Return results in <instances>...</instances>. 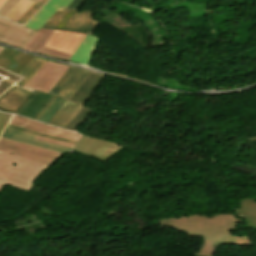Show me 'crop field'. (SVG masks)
I'll return each mask as SVG.
<instances>
[{
	"label": "crop field",
	"instance_id": "1",
	"mask_svg": "<svg viewBox=\"0 0 256 256\" xmlns=\"http://www.w3.org/2000/svg\"><path fill=\"white\" fill-rule=\"evenodd\" d=\"M237 226V217L232 213L211 216L195 215L164 219L161 227L173 229L189 236L204 238L198 255L214 256L217 244L248 246L251 237H231L232 229Z\"/></svg>",
	"mask_w": 256,
	"mask_h": 256
},
{
	"label": "crop field",
	"instance_id": "2",
	"mask_svg": "<svg viewBox=\"0 0 256 256\" xmlns=\"http://www.w3.org/2000/svg\"><path fill=\"white\" fill-rule=\"evenodd\" d=\"M48 166L0 151V191L7 184L30 190L35 177Z\"/></svg>",
	"mask_w": 256,
	"mask_h": 256
},
{
	"label": "crop field",
	"instance_id": "3",
	"mask_svg": "<svg viewBox=\"0 0 256 256\" xmlns=\"http://www.w3.org/2000/svg\"><path fill=\"white\" fill-rule=\"evenodd\" d=\"M0 150L48 165L54 163L61 154L52 150L7 140L1 137Z\"/></svg>",
	"mask_w": 256,
	"mask_h": 256
},
{
	"label": "crop field",
	"instance_id": "4",
	"mask_svg": "<svg viewBox=\"0 0 256 256\" xmlns=\"http://www.w3.org/2000/svg\"><path fill=\"white\" fill-rule=\"evenodd\" d=\"M67 68L66 65L47 61L26 83L24 88L48 93Z\"/></svg>",
	"mask_w": 256,
	"mask_h": 256
},
{
	"label": "crop field",
	"instance_id": "5",
	"mask_svg": "<svg viewBox=\"0 0 256 256\" xmlns=\"http://www.w3.org/2000/svg\"><path fill=\"white\" fill-rule=\"evenodd\" d=\"M122 147L124 146L82 136L73 149L92 156L105 163Z\"/></svg>",
	"mask_w": 256,
	"mask_h": 256
},
{
	"label": "crop field",
	"instance_id": "6",
	"mask_svg": "<svg viewBox=\"0 0 256 256\" xmlns=\"http://www.w3.org/2000/svg\"><path fill=\"white\" fill-rule=\"evenodd\" d=\"M88 74L89 71L69 66L49 93L69 99Z\"/></svg>",
	"mask_w": 256,
	"mask_h": 256
},
{
	"label": "crop field",
	"instance_id": "7",
	"mask_svg": "<svg viewBox=\"0 0 256 256\" xmlns=\"http://www.w3.org/2000/svg\"><path fill=\"white\" fill-rule=\"evenodd\" d=\"M84 34L55 31L44 47L73 55Z\"/></svg>",
	"mask_w": 256,
	"mask_h": 256
},
{
	"label": "crop field",
	"instance_id": "8",
	"mask_svg": "<svg viewBox=\"0 0 256 256\" xmlns=\"http://www.w3.org/2000/svg\"><path fill=\"white\" fill-rule=\"evenodd\" d=\"M10 123L30 129V130L46 133L53 136L63 137V138H67L75 141H77V139L80 137L79 134L62 130V129L49 126L43 123L35 122L33 120H30L24 117H18L16 115L12 117Z\"/></svg>",
	"mask_w": 256,
	"mask_h": 256
},
{
	"label": "crop field",
	"instance_id": "9",
	"mask_svg": "<svg viewBox=\"0 0 256 256\" xmlns=\"http://www.w3.org/2000/svg\"><path fill=\"white\" fill-rule=\"evenodd\" d=\"M33 94L34 92L13 86L8 92L0 97V110L16 114Z\"/></svg>",
	"mask_w": 256,
	"mask_h": 256
},
{
	"label": "crop field",
	"instance_id": "10",
	"mask_svg": "<svg viewBox=\"0 0 256 256\" xmlns=\"http://www.w3.org/2000/svg\"><path fill=\"white\" fill-rule=\"evenodd\" d=\"M94 14L95 12L91 11L75 12L63 30L92 34L99 24L98 21L92 19Z\"/></svg>",
	"mask_w": 256,
	"mask_h": 256
},
{
	"label": "crop field",
	"instance_id": "11",
	"mask_svg": "<svg viewBox=\"0 0 256 256\" xmlns=\"http://www.w3.org/2000/svg\"><path fill=\"white\" fill-rule=\"evenodd\" d=\"M53 33V30H39L27 43L24 49L68 61L71 55L43 48Z\"/></svg>",
	"mask_w": 256,
	"mask_h": 256
},
{
	"label": "crop field",
	"instance_id": "12",
	"mask_svg": "<svg viewBox=\"0 0 256 256\" xmlns=\"http://www.w3.org/2000/svg\"><path fill=\"white\" fill-rule=\"evenodd\" d=\"M36 32L27 34L13 27L0 24V42L22 49Z\"/></svg>",
	"mask_w": 256,
	"mask_h": 256
},
{
	"label": "crop field",
	"instance_id": "13",
	"mask_svg": "<svg viewBox=\"0 0 256 256\" xmlns=\"http://www.w3.org/2000/svg\"><path fill=\"white\" fill-rule=\"evenodd\" d=\"M31 58L32 56L4 48L0 52V67L17 74Z\"/></svg>",
	"mask_w": 256,
	"mask_h": 256
},
{
	"label": "crop field",
	"instance_id": "14",
	"mask_svg": "<svg viewBox=\"0 0 256 256\" xmlns=\"http://www.w3.org/2000/svg\"><path fill=\"white\" fill-rule=\"evenodd\" d=\"M71 1L72 0H49L25 26L32 29L40 28L59 6L65 9Z\"/></svg>",
	"mask_w": 256,
	"mask_h": 256
},
{
	"label": "crop field",
	"instance_id": "15",
	"mask_svg": "<svg viewBox=\"0 0 256 256\" xmlns=\"http://www.w3.org/2000/svg\"><path fill=\"white\" fill-rule=\"evenodd\" d=\"M244 140L256 141V136ZM237 200L239 201L240 207L234 209V212L245 218L248 226L256 229V199L243 196Z\"/></svg>",
	"mask_w": 256,
	"mask_h": 256
},
{
	"label": "crop field",
	"instance_id": "16",
	"mask_svg": "<svg viewBox=\"0 0 256 256\" xmlns=\"http://www.w3.org/2000/svg\"><path fill=\"white\" fill-rule=\"evenodd\" d=\"M103 76L104 75L90 72L86 79L77 88L70 100L80 104H84L91 96L92 92L94 91Z\"/></svg>",
	"mask_w": 256,
	"mask_h": 256
},
{
	"label": "crop field",
	"instance_id": "17",
	"mask_svg": "<svg viewBox=\"0 0 256 256\" xmlns=\"http://www.w3.org/2000/svg\"><path fill=\"white\" fill-rule=\"evenodd\" d=\"M1 137L11 139V140H15V141H19V142H23V143L36 145V146H40V147H44V148H48V149H52V150H56V151H60V152H69L70 151L69 148H65V147H61V146H57V145H53V144H48V143L36 141V140H34L35 136H33V135H29V134L18 132V131L9 130L7 128L5 129V131L1 135Z\"/></svg>",
	"mask_w": 256,
	"mask_h": 256
},
{
	"label": "crop field",
	"instance_id": "18",
	"mask_svg": "<svg viewBox=\"0 0 256 256\" xmlns=\"http://www.w3.org/2000/svg\"><path fill=\"white\" fill-rule=\"evenodd\" d=\"M51 97V95L43 94L37 91L35 95L30 98L25 103V105L18 111L17 114L34 119Z\"/></svg>",
	"mask_w": 256,
	"mask_h": 256
},
{
	"label": "crop field",
	"instance_id": "19",
	"mask_svg": "<svg viewBox=\"0 0 256 256\" xmlns=\"http://www.w3.org/2000/svg\"><path fill=\"white\" fill-rule=\"evenodd\" d=\"M98 41V39L86 35L70 60L88 65Z\"/></svg>",
	"mask_w": 256,
	"mask_h": 256
},
{
	"label": "crop field",
	"instance_id": "20",
	"mask_svg": "<svg viewBox=\"0 0 256 256\" xmlns=\"http://www.w3.org/2000/svg\"><path fill=\"white\" fill-rule=\"evenodd\" d=\"M80 106L81 105L67 101L66 104L56 113L49 124L63 128Z\"/></svg>",
	"mask_w": 256,
	"mask_h": 256
},
{
	"label": "crop field",
	"instance_id": "21",
	"mask_svg": "<svg viewBox=\"0 0 256 256\" xmlns=\"http://www.w3.org/2000/svg\"><path fill=\"white\" fill-rule=\"evenodd\" d=\"M46 60L33 57L18 73V75L24 77L23 80L16 85L23 87L24 84L36 73V71L45 64Z\"/></svg>",
	"mask_w": 256,
	"mask_h": 256
},
{
	"label": "crop field",
	"instance_id": "22",
	"mask_svg": "<svg viewBox=\"0 0 256 256\" xmlns=\"http://www.w3.org/2000/svg\"><path fill=\"white\" fill-rule=\"evenodd\" d=\"M84 0H73L69 6L64 10L62 8H58L57 11L50 17V19L41 27V28H52L54 29L55 26L59 23L65 13L71 9L77 11Z\"/></svg>",
	"mask_w": 256,
	"mask_h": 256
},
{
	"label": "crop field",
	"instance_id": "23",
	"mask_svg": "<svg viewBox=\"0 0 256 256\" xmlns=\"http://www.w3.org/2000/svg\"><path fill=\"white\" fill-rule=\"evenodd\" d=\"M92 110L93 108L81 106L78 112L72 117L64 128L71 131H77Z\"/></svg>",
	"mask_w": 256,
	"mask_h": 256
},
{
	"label": "crop field",
	"instance_id": "24",
	"mask_svg": "<svg viewBox=\"0 0 256 256\" xmlns=\"http://www.w3.org/2000/svg\"><path fill=\"white\" fill-rule=\"evenodd\" d=\"M32 0H19L4 16L3 18L16 21L32 4Z\"/></svg>",
	"mask_w": 256,
	"mask_h": 256
},
{
	"label": "crop field",
	"instance_id": "25",
	"mask_svg": "<svg viewBox=\"0 0 256 256\" xmlns=\"http://www.w3.org/2000/svg\"><path fill=\"white\" fill-rule=\"evenodd\" d=\"M65 102L66 100L57 98L49 109L40 117L39 121L48 123Z\"/></svg>",
	"mask_w": 256,
	"mask_h": 256
},
{
	"label": "crop field",
	"instance_id": "26",
	"mask_svg": "<svg viewBox=\"0 0 256 256\" xmlns=\"http://www.w3.org/2000/svg\"><path fill=\"white\" fill-rule=\"evenodd\" d=\"M7 128L23 131V132L30 133V134H33V135H38V136H42V137H46V138H50V139H54V140H58V141H62V142L73 144V145L75 144L74 141H70V140H66V139H62V138H58V137H53V136L45 135V134H42V133L30 131V130H27V129H24V128H21V127H18V126L10 125V124L7 126Z\"/></svg>",
	"mask_w": 256,
	"mask_h": 256
},
{
	"label": "crop field",
	"instance_id": "27",
	"mask_svg": "<svg viewBox=\"0 0 256 256\" xmlns=\"http://www.w3.org/2000/svg\"><path fill=\"white\" fill-rule=\"evenodd\" d=\"M47 0H44L41 4L35 3L33 6H31L17 21L16 23L24 24L28 21V19L46 2Z\"/></svg>",
	"mask_w": 256,
	"mask_h": 256
},
{
	"label": "crop field",
	"instance_id": "28",
	"mask_svg": "<svg viewBox=\"0 0 256 256\" xmlns=\"http://www.w3.org/2000/svg\"><path fill=\"white\" fill-rule=\"evenodd\" d=\"M11 116L12 115L5 114V113H0V133L4 129L7 122L10 120Z\"/></svg>",
	"mask_w": 256,
	"mask_h": 256
},
{
	"label": "crop field",
	"instance_id": "29",
	"mask_svg": "<svg viewBox=\"0 0 256 256\" xmlns=\"http://www.w3.org/2000/svg\"><path fill=\"white\" fill-rule=\"evenodd\" d=\"M74 11L69 10L67 14L64 16V18L60 21V23L56 26L55 29L62 30L66 22L69 20V18L72 16Z\"/></svg>",
	"mask_w": 256,
	"mask_h": 256
},
{
	"label": "crop field",
	"instance_id": "30",
	"mask_svg": "<svg viewBox=\"0 0 256 256\" xmlns=\"http://www.w3.org/2000/svg\"><path fill=\"white\" fill-rule=\"evenodd\" d=\"M18 0H8L7 3L0 9V16L2 17Z\"/></svg>",
	"mask_w": 256,
	"mask_h": 256
},
{
	"label": "crop field",
	"instance_id": "31",
	"mask_svg": "<svg viewBox=\"0 0 256 256\" xmlns=\"http://www.w3.org/2000/svg\"><path fill=\"white\" fill-rule=\"evenodd\" d=\"M0 23L13 26V27H15V28L21 29V30L26 31V32H28V33H29V31H30V29L21 27V26H19V25H17V24L11 23V22H9V21H7V20H4V19H1V18H0Z\"/></svg>",
	"mask_w": 256,
	"mask_h": 256
},
{
	"label": "crop field",
	"instance_id": "32",
	"mask_svg": "<svg viewBox=\"0 0 256 256\" xmlns=\"http://www.w3.org/2000/svg\"><path fill=\"white\" fill-rule=\"evenodd\" d=\"M37 140H41V141H45V142H49V143H53V144H57V145H61V146H66V147H72L73 145H69V144H65V143H61V142H57V141H53V140H49V139H45V138H41V137H37Z\"/></svg>",
	"mask_w": 256,
	"mask_h": 256
},
{
	"label": "crop field",
	"instance_id": "33",
	"mask_svg": "<svg viewBox=\"0 0 256 256\" xmlns=\"http://www.w3.org/2000/svg\"><path fill=\"white\" fill-rule=\"evenodd\" d=\"M56 99V97H52L46 106L40 111V113L36 116L35 120H38V118L48 109V107L52 104V102Z\"/></svg>",
	"mask_w": 256,
	"mask_h": 256
},
{
	"label": "crop field",
	"instance_id": "34",
	"mask_svg": "<svg viewBox=\"0 0 256 256\" xmlns=\"http://www.w3.org/2000/svg\"><path fill=\"white\" fill-rule=\"evenodd\" d=\"M6 0H0V7L5 3Z\"/></svg>",
	"mask_w": 256,
	"mask_h": 256
},
{
	"label": "crop field",
	"instance_id": "35",
	"mask_svg": "<svg viewBox=\"0 0 256 256\" xmlns=\"http://www.w3.org/2000/svg\"><path fill=\"white\" fill-rule=\"evenodd\" d=\"M35 1H37V2L41 3L43 0H35Z\"/></svg>",
	"mask_w": 256,
	"mask_h": 256
},
{
	"label": "crop field",
	"instance_id": "36",
	"mask_svg": "<svg viewBox=\"0 0 256 256\" xmlns=\"http://www.w3.org/2000/svg\"><path fill=\"white\" fill-rule=\"evenodd\" d=\"M3 48L0 47V51L2 50Z\"/></svg>",
	"mask_w": 256,
	"mask_h": 256
}]
</instances>
